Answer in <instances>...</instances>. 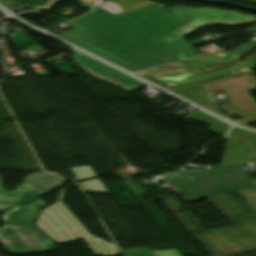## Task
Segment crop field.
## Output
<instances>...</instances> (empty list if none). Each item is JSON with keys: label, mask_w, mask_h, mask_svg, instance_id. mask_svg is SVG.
Here are the masks:
<instances>
[{"label": "crop field", "mask_w": 256, "mask_h": 256, "mask_svg": "<svg viewBox=\"0 0 256 256\" xmlns=\"http://www.w3.org/2000/svg\"><path fill=\"white\" fill-rule=\"evenodd\" d=\"M121 10L114 15L96 6L58 36L131 71L178 61L161 36L189 22L187 7L164 9L147 0H103Z\"/></svg>", "instance_id": "8a807250"}, {"label": "crop field", "mask_w": 256, "mask_h": 256, "mask_svg": "<svg viewBox=\"0 0 256 256\" xmlns=\"http://www.w3.org/2000/svg\"><path fill=\"white\" fill-rule=\"evenodd\" d=\"M206 198L228 219L256 212V208L239 190H218ZM231 222L234 227L192 235L210 256H233L256 250V214Z\"/></svg>", "instance_id": "ac0d7876"}, {"label": "crop field", "mask_w": 256, "mask_h": 256, "mask_svg": "<svg viewBox=\"0 0 256 256\" xmlns=\"http://www.w3.org/2000/svg\"><path fill=\"white\" fill-rule=\"evenodd\" d=\"M66 190L61 189L55 204L42 210L34 226L48 235L57 243L73 241L83 238L95 255L120 254L115 244L91 236L80 222L61 202ZM56 227L62 229L57 230Z\"/></svg>", "instance_id": "34b2d1b8"}, {"label": "crop field", "mask_w": 256, "mask_h": 256, "mask_svg": "<svg viewBox=\"0 0 256 256\" xmlns=\"http://www.w3.org/2000/svg\"><path fill=\"white\" fill-rule=\"evenodd\" d=\"M43 206L45 204L38 199L2 215L5 225L0 228V243L7 251L22 254L50 250L45 243L51 244L53 241L32 227L33 220Z\"/></svg>", "instance_id": "412701ff"}, {"label": "crop field", "mask_w": 256, "mask_h": 256, "mask_svg": "<svg viewBox=\"0 0 256 256\" xmlns=\"http://www.w3.org/2000/svg\"><path fill=\"white\" fill-rule=\"evenodd\" d=\"M168 176L190 202L218 189L254 188L236 165H220L208 171L176 172Z\"/></svg>", "instance_id": "f4fd0767"}, {"label": "crop field", "mask_w": 256, "mask_h": 256, "mask_svg": "<svg viewBox=\"0 0 256 256\" xmlns=\"http://www.w3.org/2000/svg\"><path fill=\"white\" fill-rule=\"evenodd\" d=\"M190 23L162 37L164 42L174 51L180 60L198 56L199 54L183 38L185 35L210 24L234 26L256 22V16L239 14L215 8H188Z\"/></svg>", "instance_id": "dd49c442"}, {"label": "crop field", "mask_w": 256, "mask_h": 256, "mask_svg": "<svg viewBox=\"0 0 256 256\" xmlns=\"http://www.w3.org/2000/svg\"><path fill=\"white\" fill-rule=\"evenodd\" d=\"M75 53L74 60L77 64L89 75L95 79L110 82L116 87H119L125 92H132L146 84L131 78L77 50Z\"/></svg>", "instance_id": "e52e79f7"}, {"label": "crop field", "mask_w": 256, "mask_h": 256, "mask_svg": "<svg viewBox=\"0 0 256 256\" xmlns=\"http://www.w3.org/2000/svg\"><path fill=\"white\" fill-rule=\"evenodd\" d=\"M254 90H256V86L223 93L232 104L222 106L221 108L227 111L229 116L236 114L235 118L242 117V119L235 122L241 124L256 123V102L248 94V92Z\"/></svg>", "instance_id": "d8731c3e"}, {"label": "crop field", "mask_w": 256, "mask_h": 256, "mask_svg": "<svg viewBox=\"0 0 256 256\" xmlns=\"http://www.w3.org/2000/svg\"><path fill=\"white\" fill-rule=\"evenodd\" d=\"M16 191L18 193H15ZM44 193L48 192L36 188L26 182L22 183L14 191L8 192L3 189L0 180V212L18 203L28 202Z\"/></svg>", "instance_id": "5a996713"}, {"label": "crop field", "mask_w": 256, "mask_h": 256, "mask_svg": "<svg viewBox=\"0 0 256 256\" xmlns=\"http://www.w3.org/2000/svg\"><path fill=\"white\" fill-rule=\"evenodd\" d=\"M255 84H256L255 76L249 75V76H244V77H239V78H234V79H229L224 81L202 84L201 86L204 89V91L207 94H209V93L230 90V89H235V88H240V87H245V86H250Z\"/></svg>", "instance_id": "3316defc"}, {"label": "crop field", "mask_w": 256, "mask_h": 256, "mask_svg": "<svg viewBox=\"0 0 256 256\" xmlns=\"http://www.w3.org/2000/svg\"><path fill=\"white\" fill-rule=\"evenodd\" d=\"M32 185L42 188L48 192L62 186L67 182V179L57 174L33 173L22 179Z\"/></svg>", "instance_id": "28ad6ade"}, {"label": "crop field", "mask_w": 256, "mask_h": 256, "mask_svg": "<svg viewBox=\"0 0 256 256\" xmlns=\"http://www.w3.org/2000/svg\"><path fill=\"white\" fill-rule=\"evenodd\" d=\"M228 140L221 164H237L243 163L252 147L241 144L239 142Z\"/></svg>", "instance_id": "d1516ede"}, {"label": "crop field", "mask_w": 256, "mask_h": 256, "mask_svg": "<svg viewBox=\"0 0 256 256\" xmlns=\"http://www.w3.org/2000/svg\"><path fill=\"white\" fill-rule=\"evenodd\" d=\"M173 92L223 116L207 94L201 89L200 85L173 90Z\"/></svg>", "instance_id": "22f410ed"}, {"label": "crop field", "mask_w": 256, "mask_h": 256, "mask_svg": "<svg viewBox=\"0 0 256 256\" xmlns=\"http://www.w3.org/2000/svg\"><path fill=\"white\" fill-rule=\"evenodd\" d=\"M56 1L58 0H5L4 4L11 10L22 8L24 6H34L35 10L50 11L53 3Z\"/></svg>", "instance_id": "cbeb9de0"}, {"label": "crop field", "mask_w": 256, "mask_h": 256, "mask_svg": "<svg viewBox=\"0 0 256 256\" xmlns=\"http://www.w3.org/2000/svg\"><path fill=\"white\" fill-rule=\"evenodd\" d=\"M231 131V130H230ZM229 137L254 146L255 149L248 158L247 162H256V133H252L249 131L241 130L233 127Z\"/></svg>", "instance_id": "5142ce71"}, {"label": "crop field", "mask_w": 256, "mask_h": 256, "mask_svg": "<svg viewBox=\"0 0 256 256\" xmlns=\"http://www.w3.org/2000/svg\"><path fill=\"white\" fill-rule=\"evenodd\" d=\"M191 118H194L196 120H199V121H202V122L212 125V127L210 129L211 131L219 133L224 136H226V134L231 126V125H229L219 119H216L210 115H207L201 111L197 112Z\"/></svg>", "instance_id": "d9b57169"}, {"label": "crop field", "mask_w": 256, "mask_h": 256, "mask_svg": "<svg viewBox=\"0 0 256 256\" xmlns=\"http://www.w3.org/2000/svg\"><path fill=\"white\" fill-rule=\"evenodd\" d=\"M81 185L86 190V192L101 193V194L109 193L99 179L85 181L81 183Z\"/></svg>", "instance_id": "733c2abd"}, {"label": "crop field", "mask_w": 256, "mask_h": 256, "mask_svg": "<svg viewBox=\"0 0 256 256\" xmlns=\"http://www.w3.org/2000/svg\"><path fill=\"white\" fill-rule=\"evenodd\" d=\"M71 171L78 181L96 177L95 173L89 166L71 168Z\"/></svg>", "instance_id": "4a817a6b"}, {"label": "crop field", "mask_w": 256, "mask_h": 256, "mask_svg": "<svg viewBox=\"0 0 256 256\" xmlns=\"http://www.w3.org/2000/svg\"><path fill=\"white\" fill-rule=\"evenodd\" d=\"M125 256H154L149 248L136 250H123Z\"/></svg>", "instance_id": "bc2a9ffb"}, {"label": "crop field", "mask_w": 256, "mask_h": 256, "mask_svg": "<svg viewBox=\"0 0 256 256\" xmlns=\"http://www.w3.org/2000/svg\"><path fill=\"white\" fill-rule=\"evenodd\" d=\"M155 256H181L177 249L156 251L153 252Z\"/></svg>", "instance_id": "214f88e0"}, {"label": "crop field", "mask_w": 256, "mask_h": 256, "mask_svg": "<svg viewBox=\"0 0 256 256\" xmlns=\"http://www.w3.org/2000/svg\"><path fill=\"white\" fill-rule=\"evenodd\" d=\"M241 192L256 207V190L241 191Z\"/></svg>", "instance_id": "92a150f3"}, {"label": "crop field", "mask_w": 256, "mask_h": 256, "mask_svg": "<svg viewBox=\"0 0 256 256\" xmlns=\"http://www.w3.org/2000/svg\"><path fill=\"white\" fill-rule=\"evenodd\" d=\"M92 1H95V0H92ZM92 1H90V2H92ZM87 3H89V2H87Z\"/></svg>", "instance_id": "dafd665d"}, {"label": "crop field", "mask_w": 256, "mask_h": 256, "mask_svg": "<svg viewBox=\"0 0 256 256\" xmlns=\"http://www.w3.org/2000/svg\"><path fill=\"white\" fill-rule=\"evenodd\" d=\"M1 2H3L4 0H0Z\"/></svg>", "instance_id": "00972430"}]
</instances>
